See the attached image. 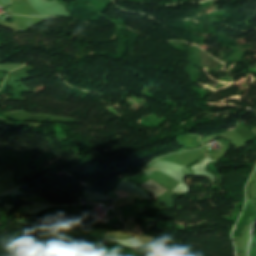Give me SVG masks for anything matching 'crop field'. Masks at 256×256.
Instances as JSON below:
<instances>
[{
	"instance_id": "8a807250",
	"label": "crop field",
	"mask_w": 256,
	"mask_h": 256,
	"mask_svg": "<svg viewBox=\"0 0 256 256\" xmlns=\"http://www.w3.org/2000/svg\"><path fill=\"white\" fill-rule=\"evenodd\" d=\"M116 194H117V196H118L119 198L126 197V196L130 195V194H127V193H125V192H123V191L116 192Z\"/></svg>"
}]
</instances>
